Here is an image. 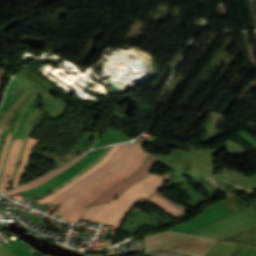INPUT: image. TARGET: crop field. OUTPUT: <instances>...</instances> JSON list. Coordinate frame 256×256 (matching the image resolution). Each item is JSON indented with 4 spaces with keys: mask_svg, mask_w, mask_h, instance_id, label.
Here are the masks:
<instances>
[{
    "mask_svg": "<svg viewBox=\"0 0 256 256\" xmlns=\"http://www.w3.org/2000/svg\"><path fill=\"white\" fill-rule=\"evenodd\" d=\"M171 175L172 174H168L163 177L150 175L127 189L117 200H113L105 205L90 207L82 218L113 225L115 228L112 233H116L127 213L139 201L143 200L156 190L161 189L158 186L166 181Z\"/></svg>",
    "mask_w": 256,
    "mask_h": 256,
    "instance_id": "obj_1",
    "label": "crop field"
},
{
    "mask_svg": "<svg viewBox=\"0 0 256 256\" xmlns=\"http://www.w3.org/2000/svg\"><path fill=\"white\" fill-rule=\"evenodd\" d=\"M150 154L139 147L134 153L132 159L118 172L111 177L97 185L95 188L81 196L74 203H72L64 212L91 206L99 197L106 194L119 183L123 182L133 173L138 171L144 164Z\"/></svg>",
    "mask_w": 256,
    "mask_h": 256,
    "instance_id": "obj_2",
    "label": "crop field"
},
{
    "mask_svg": "<svg viewBox=\"0 0 256 256\" xmlns=\"http://www.w3.org/2000/svg\"><path fill=\"white\" fill-rule=\"evenodd\" d=\"M120 146H121V144L112 146L111 149L108 151V153L105 155V157L98 164H96L94 167L89 169L87 172H85L84 174H82L81 176H79L78 178H76L75 180H73L72 182H70L69 184H67L63 188H61L60 190L54 192L53 194H51L48 197H46L44 199H41V200H38L36 202L45 205V204L49 203L50 201L54 200L55 198L59 197L66 190L75 186L76 184H78L79 182H81L82 180L87 178L89 175H91L92 173H94L95 171L100 169L102 166H104L112 158V156L115 154V152L118 150V148Z\"/></svg>",
    "mask_w": 256,
    "mask_h": 256,
    "instance_id": "obj_3",
    "label": "crop field"
},
{
    "mask_svg": "<svg viewBox=\"0 0 256 256\" xmlns=\"http://www.w3.org/2000/svg\"><path fill=\"white\" fill-rule=\"evenodd\" d=\"M131 144L132 143L122 144V146L119 148V150L114 155V157L103 168H101L100 170L95 172L93 175H91L90 177L85 179L83 182H81V183L79 182L80 184H78V185L76 184L77 186L70 189L69 191H67L62 196H60L59 198H57L55 201H53L51 203L58 206L67 197H69L73 193L77 192L78 190H80L87 184L91 183L92 181H94L98 176H100L102 173H104L106 170H108L112 165H114L120 159V157L125 153V151L130 147Z\"/></svg>",
    "mask_w": 256,
    "mask_h": 256,
    "instance_id": "obj_4",
    "label": "crop field"
},
{
    "mask_svg": "<svg viewBox=\"0 0 256 256\" xmlns=\"http://www.w3.org/2000/svg\"><path fill=\"white\" fill-rule=\"evenodd\" d=\"M23 141L24 140H18V139L14 140L13 147H12V150L8 159V163H7V166L2 178V182L0 185V192L6 191L8 189V186L11 181L12 173L15 167V163H16Z\"/></svg>",
    "mask_w": 256,
    "mask_h": 256,
    "instance_id": "obj_5",
    "label": "crop field"
},
{
    "mask_svg": "<svg viewBox=\"0 0 256 256\" xmlns=\"http://www.w3.org/2000/svg\"><path fill=\"white\" fill-rule=\"evenodd\" d=\"M147 202L154 205L155 207L161 209L162 211L166 212L167 214L177 217L184 211L177 208L175 205H173L171 202H169L167 199L159 195L158 193H153L149 195L146 199Z\"/></svg>",
    "mask_w": 256,
    "mask_h": 256,
    "instance_id": "obj_6",
    "label": "crop field"
},
{
    "mask_svg": "<svg viewBox=\"0 0 256 256\" xmlns=\"http://www.w3.org/2000/svg\"><path fill=\"white\" fill-rule=\"evenodd\" d=\"M85 155H86V154H85ZM85 155L81 156L80 158L74 160V161L71 162L70 164L64 166L63 168H61V169H59V170H57V171H55V172H53V173H51V174H49V175H47V176H45V177H43V178H41V179H39V180H37V181L31 183V184H29V185H27V186H25V187L18 188V189H15V190L11 191V192L5 193V195L9 196V195H13V194L19 193V192L24 191V190H28V189L34 188V187H36V186L42 184L43 182H45V181H47V180L53 178L54 176H56V175L62 173L63 171H65L66 169H68L71 165H73L74 163H76L77 161H79L80 159H82Z\"/></svg>",
    "mask_w": 256,
    "mask_h": 256,
    "instance_id": "obj_7",
    "label": "crop field"
},
{
    "mask_svg": "<svg viewBox=\"0 0 256 256\" xmlns=\"http://www.w3.org/2000/svg\"><path fill=\"white\" fill-rule=\"evenodd\" d=\"M142 143H138L130 152V154L128 155V157L126 158V160L119 166L117 167L115 170H113L111 173H109L108 175H106L105 177H103L101 180H99L97 183H95L93 186H91L90 188L86 189L85 191L79 193L77 196H75L73 199H71L67 204H65L61 210L57 213H62V211L68 207L73 201H75L78 197H80L81 195H83L84 193H86L87 191H89L90 189H92L94 186H96L97 184H99L100 182H102L103 180H105L106 178H108L111 174H113L114 172L118 171L119 169H121L132 157L133 153L135 152V150L141 145Z\"/></svg>",
    "mask_w": 256,
    "mask_h": 256,
    "instance_id": "obj_8",
    "label": "crop field"
},
{
    "mask_svg": "<svg viewBox=\"0 0 256 256\" xmlns=\"http://www.w3.org/2000/svg\"><path fill=\"white\" fill-rule=\"evenodd\" d=\"M137 143H133L132 146L126 151V153L122 156V158L114 165L112 166L108 171H106L104 174H102L100 177H98L94 182H92L91 184L87 185L86 187H84L83 189H81L80 191H78L77 193H75L74 195H72L71 197H69L67 200H65L62 204H60L57 208V210L51 215L54 216L59 209L66 203L68 202L71 198H73L75 195H77L79 192L85 190L86 188H88L89 186L93 185L95 182H97L99 179H101L103 176H105L106 174H108L109 172H111L113 169H115L117 166H119L127 157V155L129 154V152L131 151V149L136 145Z\"/></svg>",
    "mask_w": 256,
    "mask_h": 256,
    "instance_id": "obj_9",
    "label": "crop field"
},
{
    "mask_svg": "<svg viewBox=\"0 0 256 256\" xmlns=\"http://www.w3.org/2000/svg\"><path fill=\"white\" fill-rule=\"evenodd\" d=\"M31 151H32V148H29L27 146L25 147V150H24V153H23V156H22V159H21L16 177L14 179V182H13V185H12L11 188L16 187L18 185V183L20 181V178H21V175H22V172L24 170L25 164L28 160V157H29Z\"/></svg>",
    "mask_w": 256,
    "mask_h": 256,
    "instance_id": "obj_10",
    "label": "crop field"
},
{
    "mask_svg": "<svg viewBox=\"0 0 256 256\" xmlns=\"http://www.w3.org/2000/svg\"><path fill=\"white\" fill-rule=\"evenodd\" d=\"M87 209L88 208L63 214L60 219L77 224L80 217L86 212Z\"/></svg>",
    "mask_w": 256,
    "mask_h": 256,
    "instance_id": "obj_11",
    "label": "crop field"
},
{
    "mask_svg": "<svg viewBox=\"0 0 256 256\" xmlns=\"http://www.w3.org/2000/svg\"><path fill=\"white\" fill-rule=\"evenodd\" d=\"M11 135L12 134H9L7 139H6V142H5V146H4V149H3V153H2V156H1V159H0V169H1V166H2V163H3V159H4V156H5V153H6V150H7V147H8V144H9V140L11 138Z\"/></svg>",
    "mask_w": 256,
    "mask_h": 256,
    "instance_id": "obj_12",
    "label": "crop field"
},
{
    "mask_svg": "<svg viewBox=\"0 0 256 256\" xmlns=\"http://www.w3.org/2000/svg\"><path fill=\"white\" fill-rule=\"evenodd\" d=\"M148 256H182L170 252H160V253H153V254H148Z\"/></svg>",
    "mask_w": 256,
    "mask_h": 256,
    "instance_id": "obj_13",
    "label": "crop field"
},
{
    "mask_svg": "<svg viewBox=\"0 0 256 256\" xmlns=\"http://www.w3.org/2000/svg\"><path fill=\"white\" fill-rule=\"evenodd\" d=\"M13 139H11V142H10V145H9V148H8V151H7V154H6V157H5V160H4V163H3V166H2V169H1V172H0V182H1V178H2V175H3V171H4V168H5V164H6V161H7V157H8V154H9V150H10V147H11V144L13 142Z\"/></svg>",
    "mask_w": 256,
    "mask_h": 256,
    "instance_id": "obj_14",
    "label": "crop field"
},
{
    "mask_svg": "<svg viewBox=\"0 0 256 256\" xmlns=\"http://www.w3.org/2000/svg\"><path fill=\"white\" fill-rule=\"evenodd\" d=\"M2 78H3V72H0V89H1V84H2Z\"/></svg>",
    "mask_w": 256,
    "mask_h": 256,
    "instance_id": "obj_15",
    "label": "crop field"
},
{
    "mask_svg": "<svg viewBox=\"0 0 256 256\" xmlns=\"http://www.w3.org/2000/svg\"><path fill=\"white\" fill-rule=\"evenodd\" d=\"M2 132H3V129H0V136H1Z\"/></svg>",
    "mask_w": 256,
    "mask_h": 256,
    "instance_id": "obj_16",
    "label": "crop field"
}]
</instances>
